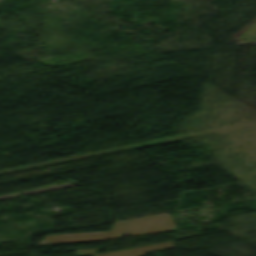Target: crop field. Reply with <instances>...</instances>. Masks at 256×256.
Listing matches in <instances>:
<instances>
[{"instance_id": "obj_1", "label": "crop field", "mask_w": 256, "mask_h": 256, "mask_svg": "<svg viewBox=\"0 0 256 256\" xmlns=\"http://www.w3.org/2000/svg\"><path fill=\"white\" fill-rule=\"evenodd\" d=\"M175 230L168 213L114 222L109 233L47 236L51 243L107 240Z\"/></svg>"}, {"instance_id": "obj_2", "label": "crop field", "mask_w": 256, "mask_h": 256, "mask_svg": "<svg viewBox=\"0 0 256 256\" xmlns=\"http://www.w3.org/2000/svg\"><path fill=\"white\" fill-rule=\"evenodd\" d=\"M173 242L174 241H168V242L152 244V245L127 249V250H121V251H116V252H111V253L96 254V256H143L144 253H146V252L170 248L173 246Z\"/></svg>"}, {"instance_id": "obj_3", "label": "crop field", "mask_w": 256, "mask_h": 256, "mask_svg": "<svg viewBox=\"0 0 256 256\" xmlns=\"http://www.w3.org/2000/svg\"><path fill=\"white\" fill-rule=\"evenodd\" d=\"M97 251H98V248L84 249V250H75L77 255L96 254Z\"/></svg>"}]
</instances>
